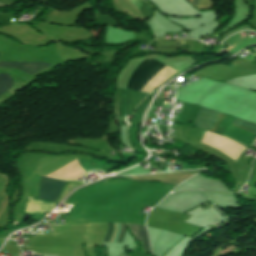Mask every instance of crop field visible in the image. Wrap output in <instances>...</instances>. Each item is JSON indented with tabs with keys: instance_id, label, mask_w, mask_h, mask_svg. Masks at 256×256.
<instances>
[{
	"instance_id": "obj_3",
	"label": "crop field",
	"mask_w": 256,
	"mask_h": 256,
	"mask_svg": "<svg viewBox=\"0 0 256 256\" xmlns=\"http://www.w3.org/2000/svg\"><path fill=\"white\" fill-rule=\"evenodd\" d=\"M50 65L46 63H1L0 67L6 68H18L23 70L31 75L49 67Z\"/></svg>"
},
{
	"instance_id": "obj_5",
	"label": "crop field",
	"mask_w": 256,
	"mask_h": 256,
	"mask_svg": "<svg viewBox=\"0 0 256 256\" xmlns=\"http://www.w3.org/2000/svg\"><path fill=\"white\" fill-rule=\"evenodd\" d=\"M13 84V81L7 74H0V94L5 90L10 88Z\"/></svg>"
},
{
	"instance_id": "obj_2",
	"label": "crop field",
	"mask_w": 256,
	"mask_h": 256,
	"mask_svg": "<svg viewBox=\"0 0 256 256\" xmlns=\"http://www.w3.org/2000/svg\"><path fill=\"white\" fill-rule=\"evenodd\" d=\"M66 181L41 176L40 190L37 198L55 202Z\"/></svg>"
},
{
	"instance_id": "obj_6",
	"label": "crop field",
	"mask_w": 256,
	"mask_h": 256,
	"mask_svg": "<svg viewBox=\"0 0 256 256\" xmlns=\"http://www.w3.org/2000/svg\"><path fill=\"white\" fill-rule=\"evenodd\" d=\"M121 227H122V232H121L120 237H119V239H118V241H117V242H119V243L122 242V240H123V238H124V235H125V232H126V225H125V224H121ZM107 228H108V231H107V233H106V235H105V238H104V240H103V241H105V242H108V240H109V238H110V236H111L112 224H111V223H107Z\"/></svg>"
},
{
	"instance_id": "obj_1",
	"label": "crop field",
	"mask_w": 256,
	"mask_h": 256,
	"mask_svg": "<svg viewBox=\"0 0 256 256\" xmlns=\"http://www.w3.org/2000/svg\"><path fill=\"white\" fill-rule=\"evenodd\" d=\"M161 65V63L152 59L142 61L140 65L136 68V70L132 73L126 88L140 91L148 78Z\"/></svg>"
},
{
	"instance_id": "obj_4",
	"label": "crop field",
	"mask_w": 256,
	"mask_h": 256,
	"mask_svg": "<svg viewBox=\"0 0 256 256\" xmlns=\"http://www.w3.org/2000/svg\"><path fill=\"white\" fill-rule=\"evenodd\" d=\"M131 233L134 235L136 239L141 240L142 246L144 250H150L148 244V238L146 234V230L144 226L139 225H130L127 224Z\"/></svg>"
},
{
	"instance_id": "obj_7",
	"label": "crop field",
	"mask_w": 256,
	"mask_h": 256,
	"mask_svg": "<svg viewBox=\"0 0 256 256\" xmlns=\"http://www.w3.org/2000/svg\"><path fill=\"white\" fill-rule=\"evenodd\" d=\"M198 1H199V0H192L191 3H193V4L197 7Z\"/></svg>"
}]
</instances>
